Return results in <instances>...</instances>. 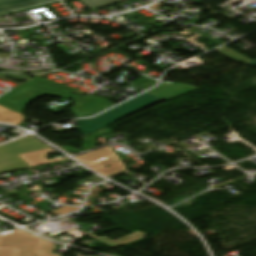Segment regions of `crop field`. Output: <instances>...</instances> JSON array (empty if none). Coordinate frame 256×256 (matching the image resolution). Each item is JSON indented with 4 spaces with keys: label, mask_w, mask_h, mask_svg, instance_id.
I'll return each mask as SVG.
<instances>
[{
    "label": "crop field",
    "mask_w": 256,
    "mask_h": 256,
    "mask_svg": "<svg viewBox=\"0 0 256 256\" xmlns=\"http://www.w3.org/2000/svg\"><path fill=\"white\" fill-rule=\"evenodd\" d=\"M56 246L23 230L0 235V256H58L50 253Z\"/></svg>",
    "instance_id": "1"
},
{
    "label": "crop field",
    "mask_w": 256,
    "mask_h": 256,
    "mask_svg": "<svg viewBox=\"0 0 256 256\" xmlns=\"http://www.w3.org/2000/svg\"><path fill=\"white\" fill-rule=\"evenodd\" d=\"M159 100L161 99L145 93L93 120H77L78 130L84 135L89 134Z\"/></svg>",
    "instance_id": "2"
},
{
    "label": "crop field",
    "mask_w": 256,
    "mask_h": 256,
    "mask_svg": "<svg viewBox=\"0 0 256 256\" xmlns=\"http://www.w3.org/2000/svg\"><path fill=\"white\" fill-rule=\"evenodd\" d=\"M44 148H48V146L31 135L0 146V174L29 168L30 166L18 155Z\"/></svg>",
    "instance_id": "3"
},
{
    "label": "crop field",
    "mask_w": 256,
    "mask_h": 256,
    "mask_svg": "<svg viewBox=\"0 0 256 256\" xmlns=\"http://www.w3.org/2000/svg\"><path fill=\"white\" fill-rule=\"evenodd\" d=\"M75 158L106 177L126 171L118 156L109 146ZM109 165L111 167L105 168Z\"/></svg>",
    "instance_id": "4"
},
{
    "label": "crop field",
    "mask_w": 256,
    "mask_h": 256,
    "mask_svg": "<svg viewBox=\"0 0 256 256\" xmlns=\"http://www.w3.org/2000/svg\"><path fill=\"white\" fill-rule=\"evenodd\" d=\"M165 87H170V88L165 89ZM193 89H196V88L188 85L166 82L148 93L155 95L161 99L167 100L169 98L175 97L177 95L183 94ZM169 95H171V97H168Z\"/></svg>",
    "instance_id": "5"
},
{
    "label": "crop field",
    "mask_w": 256,
    "mask_h": 256,
    "mask_svg": "<svg viewBox=\"0 0 256 256\" xmlns=\"http://www.w3.org/2000/svg\"><path fill=\"white\" fill-rule=\"evenodd\" d=\"M58 0H0V14L18 11Z\"/></svg>",
    "instance_id": "6"
},
{
    "label": "crop field",
    "mask_w": 256,
    "mask_h": 256,
    "mask_svg": "<svg viewBox=\"0 0 256 256\" xmlns=\"http://www.w3.org/2000/svg\"><path fill=\"white\" fill-rule=\"evenodd\" d=\"M87 235L92 237V238H94L95 240L99 241L100 243H102V244H104L106 246L114 248V247H117L119 245L131 242V241L138 240V239H140L142 237L147 236L148 234H145V233H142V232H137V233L125 236L123 238H120V239H118V240H116L114 242L112 240L106 238V237L97 238L92 233L87 234Z\"/></svg>",
    "instance_id": "7"
},
{
    "label": "crop field",
    "mask_w": 256,
    "mask_h": 256,
    "mask_svg": "<svg viewBox=\"0 0 256 256\" xmlns=\"http://www.w3.org/2000/svg\"><path fill=\"white\" fill-rule=\"evenodd\" d=\"M56 152L55 150L48 148L36 152H31L27 154L20 155L26 162L28 161H33V160H38V159H44L46 158V155L48 153H54Z\"/></svg>",
    "instance_id": "8"
},
{
    "label": "crop field",
    "mask_w": 256,
    "mask_h": 256,
    "mask_svg": "<svg viewBox=\"0 0 256 256\" xmlns=\"http://www.w3.org/2000/svg\"><path fill=\"white\" fill-rule=\"evenodd\" d=\"M82 1L86 3L91 9L107 5L103 0H82Z\"/></svg>",
    "instance_id": "9"
},
{
    "label": "crop field",
    "mask_w": 256,
    "mask_h": 256,
    "mask_svg": "<svg viewBox=\"0 0 256 256\" xmlns=\"http://www.w3.org/2000/svg\"><path fill=\"white\" fill-rule=\"evenodd\" d=\"M63 160H66V159L64 157H58L54 160L44 159V160L29 162L28 164L32 167V166H36V165L47 164V163L63 161Z\"/></svg>",
    "instance_id": "10"
},
{
    "label": "crop field",
    "mask_w": 256,
    "mask_h": 256,
    "mask_svg": "<svg viewBox=\"0 0 256 256\" xmlns=\"http://www.w3.org/2000/svg\"><path fill=\"white\" fill-rule=\"evenodd\" d=\"M108 5L110 4H113V3H116V2H120V1H123V0H104Z\"/></svg>",
    "instance_id": "11"
},
{
    "label": "crop field",
    "mask_w": 256,
    "mask_h": 256,
    "mask_svg": "<svg viewBox=\"0 0 256 256\" xmlns=\"http://www.w3.org/2000/svg\"><path fill=\"white\" fill-rule=\"evenodd\" d=\"M249 65H250V66H254V67H256V61H254V62L250 63Z\"/></svg>",
    "instance_id": "12"
}]
</instances>
